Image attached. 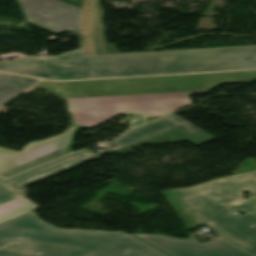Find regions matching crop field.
<instances>
[{"instance_id":"8a807250","label":"crop field","mask_w":256,"mask_h":256,"mask_svg":"<svg viewBox=\"0 0 256 256\" xmlns=\"http://www.w3.org/2000/svg\"><path fill=\"white\" fill-rule=\"evenodd\" d=\"M256 71L108 79L56 83L43 80L36 89L59 92L74 125L96 126L114 115L158 111L160 116L191 105L186 94L206 93L222 83L250 82ZM23 93V94H25Z\"/></svg>"},{"instance_id":"ac0d7876","label":"crop field","mask_w":256,"mask_h":256,"mask_svg":"<svg viewBox=\"0 0 256 256\" xmlns=\"http://www.w3.org/2000/svg\"><path fill=\"white\" fill-rule=\"evenodd\" d=\"M250 69H256V46L87 56L81 34L79 50L0 62V71L50 80Z\"/></svg>"},{"instance_id":"34b2d1b8","label":"crop field","mask_w":256,"mask_h":256,"mask_svg":"<svg viewBox=\"0 0 256 256\" xmlns=\"http://www.w3.org/2000/svg\"><path fill=\"white\" fill-rule=\"evenodd\" d=\"M246 188H250L251 194L243 200ZM162 193L183 219L188 231L205 224L218 236L256 256V171ZM232 201L242 204L233 206ZM238 210L246 214L233 215Z\"/></svg>"},{"instance_id":"412701ff","label":"crop field","mask_w":256,"mask_h":256,"mask_svg":"<svg viewBox=\"0 0 256 256\" xmlns=\"http://www.w3.org/2000/svg\"><path fill=\"white\" fill-rule=\"evenodd\" d=\"M0 256L168 255L126 233L59 229L32 212L0 225Z\"/></svg>"},{"instance_id":"f4fd0767","label":"crop field","mask_w":256,"mask_h":256,"mask_svg":"<svg viewBox=\"0 0 256 256\" xmlns=\"http://www.w3.org/2000/svg\"><path fill=\"white\" fill-rule=\"evenodd\" d=\"M214 139L216 138L172 114L113 139L110 143L116 145L114 149L97 154L85 149L57 161L31 169L0 182V224L38 208L35 203L25 198L28 189L24 186L73 168L90 159L114 150L120 154L143 144H163L188 140L200 146ZM18 188L25 192L22 194L16 192L15 190Z\"/></svg>"},{"instance_id":"dd49c442","label":"crop field","mask_w":256,"mask_h":256,"mask_svg":"<svg viewBox=\"0 0 256 256\" xmlns=\"http://www.w3.org/2000/svg\"><path fill=\"white\" fill-rule=\"evenodd\" d=\"M26 21L54 34L80 32L84 0H18Z\"/></svg>"},{"instance_id":"e52e79f7","label":"crop field","mask_w":256,"mask_h":256,"mask_svg":"<svg viewBox=\"0 0 256 256\" xmlns=\"http://www.w3.org/2000/svg\"><path fill=\"white\" fill-rule=\"evenodd\" d=\"M76 126L61 135L30 143L17 152L0 147V176L8 177L65 154Z\"/></svg>"},{"instance_id":"d8731c3e","label":"crop field","mask_w":256,"mask_h":256,"mask_svg":"<svg viewBox=\"0 0 256 256\" xmlns=\"http://www.w3.org/2000/svg\"><path fill=\"white\" fill-rule=\"evenodd\" d=\"M135 236L170 256H251L222 239L199 244L161 236Z\"/></svg>"},{"instance_id":"5a996713","label":"crop field","mask_w":256,"mask_h":256,"mask_svg":"<svg viewBox=\"0 0 256 256\" xmlns=\"http://www.w3.org/2000/svg\"><path fill=\"white\" fill-rule=\"evenodd\" d=\"M101 18L99 0H87L83 32L88 55L116 53L115 45L105 42Z\"/></svg>"},{"instance_id":"3316defc","label":"crop field","mask_w":256,"mask_h":256,"mask_svg":"<svg viewBox=\"0 0 256 256\" xmlns=\"http://www.w3.org/2000/svg\"><path fill=\"white\" fill-rule=\"evenodd\" d=\"M36 81L38 80L0 73V107Z\"/></svg>"},{"instance_id":"28ad6ade","label":"crop field","mask_w":256,"mask_h":256,"mask_svg":"<svg viewBox=\"0 0 256 256\" xmlns=\"http://www.w3.org/2000/svg\"><path fill=\"white\" fill-rule=\"evenodd\" d=\"M154 116H159V115H154ZM135 117H136V121L129 124L130 128L146 123L147 122L146 117H152V116H147L146 113H142V114H135Z\"/></svg>"},{"instance_id":"d1516ede","label":"crop field","mask_w":256,"mask_h":256,"mask_svg":"<svg viewBox=\"0 0 256 256\" xmlns=\"http://www.w3.org/2000/svg\"><path fill=\"white\" fill-rule=\"evenodd\" d=\"M80 128H81V127H77V128H76V130H75V132H74V134H73L72 140H71V142H70V145H69V147H68V150H67V153H66V154L71 153V152L73 151L74 145H75V143H76V141L74 140V138H75V136H76V134H77V132H78V130H79Z\"/></svg>"},{"instance_id":"22f410ed","label":"crop field","mask_w":256,"mask_h":256,"mask_svg":"<svg viewBox=\"0 0 256 256\" xmlns=\"http://www.w3.org/2000/svg\"><path fill=\"white\" fill-rule=\"evenodd\" d=\"M148 115L158 114L157 112L147 113Z\"/></svg>"},{"instance_id":"cbeb9de0","label":"crop field","mask_w":256,"mask_h":256,"mask_svg":"<svg viewBox=\"0 0 256 256\" xmlns=\"http://www.w3.org/2000/svg\"><path fill=\"white\" fill-rule=\"evenodd\" d=\"M3 179V178H0V180Z\"/></svg>"}]
</instances>
